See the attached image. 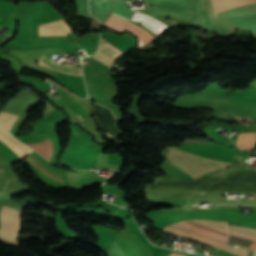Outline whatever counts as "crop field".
<instances>
[{
    "mask_svg": "<svg viewBox=\"0 0 256 256\" xmlns=\"http://www.w3.org/2000/svg\"><path fill=\"white\" fill-rule=\"evenodd\" d=\"M216 13L230 9L235 6L256 3V0H212Z\"/></svg>",
    "mask_w": 256,
    "mask_h": 256,
    "instance_id": "crop-field-10",
    "label": "crop field"
},
{
    "mask_svg": "<svg viewBox=\"0 0 256 256\" xmlns=\"http://www.w3.org/2000/svg\"><path fill=\"white\" fill-rule=\"evenodd\" d=\"M239 108H241L243 111H249V110H256V103H235Z\"/></svg>",
    "mask_w": 256,
    "mask_h": 256,
    "instance_id": "crop-field-16",
    "label": "crop field"
},
{
    "mask_svg": "<svg viewBox=\"0 0 256 256\" xmlns=\"http://www.w3.org/2000/svg\"><path fill=\"white\" fill-rule=\"evenodd\" d=\"M256 133H245L238 136L236 144L241 149L251 150L255 143Z\"/></svg>",
    "mask_w": 256,
    "mask_h": 256,
    "instance_id": "crop-field-13",
    "label": "crop field"
},
{
    "mask_svg": "<svg viewBox=\"0 0 256 256\" xmlns=\"http://www.w3.org/2000/svg\"><path fill=\"white\" fill-rule=\"evenodd\" d=\"M89 9L92 13H108V1L89 0Z\"/></svg>",
    "mask_w": 256,
    "mask_h": 256,
    "instance_id": "crop-field-14",
    "label": "crop field"
},
{
    "mask_svg": "<svg viewBox=\"0 0 256 256\" xmlns=\"http://www.w3.org/2000/svg\"><path fill=\"white\" fill-rule=\"evenodd\" d=\"M128 21L129 18L114 12V14L106 21L104 27L118 33H122L125 30L129 31L131 34L137 37L139 41L138 48L142 47L147 42L154 39L143 28L133 23H129Z\"/></svg>",
    "mask_w": 256,
    "mask_h": 256,
    "instance_id": "crop-field-4",
    "label": "crop field"
},
{
    "mask_svg": "<svg viewBox=\"0 0 256 256\" xmlns=\"http://www.w3.org/2000/svg\"><path fill=\"white\" fill-rule=\"evenodd\" d=\"M167 160L179 169L185 171L194 179L204 173L231 166V163L228 162L199 157L172 147L167 154Z\"/></svg>",
    "mask_w": 256,
    "mask_h": 256,
    "instance_id": "crop-field-2",
    "label": "crop field"
},
{
    "mask_svg": "<svg viewBox=\"0 0 256 256\" xmlns=\"http://www.w3.org/2000/svg\"><path fill=\"white\" fill-rule=\"evenodd\" d=\"M26 145L30 146L31 148H33L35 151H37L38 153H40L42 156H44L46 159L50 161L52 157V145H53L52 142L46 140L41 143L26 144Z\"/></svg>",
    "mask_w": 256,
    "mask_h": 256,
    "instance_id": "crop-field-12",
    "label": "crop field"
},
{
    "mask_svg": "<svg viewBox=\"0 0 256 256\" xmlns=\"http://www.w3.org/2000/svg\"><path fill=\"white\" fill-rule=\"evenodd\" d=\"M164 231L171 232V233H174V234H177V235H180V236H184V237H187V238H190V239H194V240H197V241H200V242H203V243H207V244L216 246L218 248L224 249L226 251H229L231 253L237 254L239 256H246L247 255V252H245V251H243L239 248L224 244V243L219 242V241L208 239V238H205V237H202V236H199V235H196V234H193V233H190V232L178 229V228H174V227H171V226H166L164 228ZM248 256H252V254L249 253Z\"/></svg>",
    "mask_w": 256,
    "mask_h": 256,
    "instance_id": "crop-field-7",
    "label": "crop field"
},
{
    "mask_svg": "<svg viewBox=\"0 0 256 256\" xmlns=\"http://www.w3.org/2000/svg\"><path fill=\"white\" fill-rule=\"evenodd\" d=\"M231 229H232L231 235L239 236V237H243V238H247V239L256 241V230L255 229L236 227V226H231ZM234 236H230L229 243L236 244L241 247H245V248L249 249L250 251L255 252L256 242L250 241L247 239H243V238H239V237H234Z\"/></svg>",
    "mask_w": 256,
    "mask_h": 256,
    "instance_id": "crop-field-8",
    "label": "crop field"
},
{
    "mask_svg": "<svg viewBox=\"0 0 256 256\" xmlns=\"http://www.w3.org/2000/svg\"><path fill=\"white\" fill-rule=\"evenodd\" d=\"M2 20H3V18H2ZM2 20H1V22H2Z\"/></svg>",
    "mask_w": 256,
    "mask_h": 256,
    "instance_id": "crop-field-19",
    "label": "crop field"
},
{
    "mask_svg": "<svg viewBox=\"0 0 256 256\" xmlns=\"http://www.w3.org/2000/svg\"><path fill=\"white\" fill-rule=\"evenodd\" d=\"M79 116V115H78ZM80 117V116H79ZM81 118V117H80ZM82 119V118H81ZM83 120V119H82Z\"/></svg>",
    "mask_w": 256,
    "mask_h": 256,
    "instance_id": "crop-field-18",
    "label": "crop field"
},
{
    "mask_svg": "<svg viewBox=\"0 0 256 256\" xmlns=\"http://www.w3.org/2000/svg\"><path fill=\"white\" fill-rule=\"evenodd\" d=\"M146 190L166 191H219L256 193V169H236L233 178L200 177L187 181L171 176L157 177Z\"/></svg>",
    "mask_w": 256,
    "mask_h": 256,
    "instance_id": "crop-field-1",
    "label": "crop field"
},
{
    "mask_svg": "<svg viewBox=\"0 0 256 256\" xmlns=\"http://www.w3.org/2000/svg\"><path fill=\"white\" fill-rule=\"evenodd\" d=\"M0 141L11 147L13 150H15L19 155H21L23 158L26 157L29 153L26 152L24 149H22L20 146H18L16 143H14L11 139H9L7 136H5L3 133L0 132Z\"/></svg>",
    "mask_w": 256,
    "mask_h": 256,
    "instance_id": "crop-field-15",
    "label": "crop field"
},
{
    "mask_svg": "<svg viewBox=\"0 0 256 256\" xmlns=\"http://www.w3.org/2000/svg\"><path fill=\"white\" fill-rule=\"evenodd\" d=\"M21 212L3 206L0 213V236L17 245Z\"/></svg>",
    "mask_w": 256,
    "mask_h": 256,
    "instance_id": "crop-field-5",
    "label": "crop field"
},
{
    "mask_svg": "<svg viewBox=\"0 0 256 256\" xmlns=\"http://www.w3.org/2000/svg\"><path fill=\"white\" fill-rule=\"evenodd\" d=\"M132 20L136 21L138 23H141L143 26H145L148 29L152 30L157 35L159 34V32H161L166 27L164 24H162L158 20H156V19H154L152 17L146 16V15H143V14L137 13V12L134 13V15L132 17ZM158 30H159V32H157Z\"/></svg>",
    "mask_w": 256,
    "mask_h": 256,
    "instance_id": "crop-field-9",
    "label": "crop field"
},
{
    "mask_svg": "<svg viewBox=\"0 0 256 256\" xmlns=\"http://www.w3.org/2000/svg\"><path fill=\"white\" fill-rule=\"evenodd\" d=\"M201 227H204L206 229L224 234V235H229V231L230 228L228 226V222H222V221H209V220H190V221H186ZM186 222H178V223H174V224H170L173 226H176L178 228L202 235V236H206V237H210V238H214V239H218V240H222V241H226L227 242V236L206 230L204 228L186 223Z\"/></svg>",
    "mask_w": 256,
    "mask_h": 256,
    "instance_id": "crop-field-3",
    "label": "crop field"
},
{
    "mask_svg": "<svg viewBox=\"0 0 256 256\" xmlns=\"http://www.w3.org/2000/svg\"><path fill=\"white\" fill-rule=\"evenodd\" d=\"M168 256H185V255H181V254H176V253L170 252V254Z\"/></svg>",
    "mask_w": 256,
    "mask_h": 256,
    "instance_id": "crop-field-17",
    "label": "crop field"
},
{
    "mask_svg": "<svg viewBox=\"0 0 256 256\" xmlns=\"http://www.w3.org/2000/svg\"><path fill=\"white\" fill-rule=\"evenodd\" d=\"M38 64L50 67L52 69H55V70H58L61 72H64L66 74L82 76V72L80 70H76V69L62 66L60 64H56L54 61H52L50 58H48L44 55L39 59Z\"/></svg>",
    "mask_w": 256,
    "mask_h": 256,
    "instance_id": "crop-field-11",
    "label": "crop field"
},
{
    "mask_svg": "<svg viewBox=\"0 0 256 256\" xmlns=\"http://www.w3.org/2000/svg\"><path fill=\"white\" fill-rule=\"evenodd\" d=\"M208 26L224 35L230 34L237 27L221 19L213 10L211 0H199Z\"/></svg>",
    "mask_w": 256,
    "mask_h": 256,
    "instance_id": "crop-field-6",
    "label": "crop field"
}]
</instances>
